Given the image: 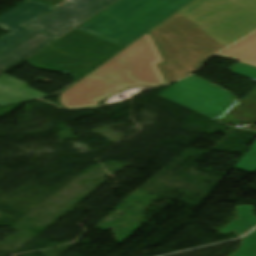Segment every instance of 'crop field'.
Returning a JSON list of instances; mask_svg holds the SVG:
<instances>
[{"mask_svg":"<svg viewBox=\"0 0 256 256\" xmlns=\"http://www.w3.org/2000/svg\"><path fill=\"white\" fill-rule=\"evenodd\" d=\"M254 30L256 10L231 0H194L150 32L166 62L158 67L170 83Z\"/></svg>","mask_w":256,"mask_h":256,"instance_id":"1","label":"crop field"},{"mask_svg":"<svg viewBox=\"0 0 256 256\" xmlns=\"http://www.w3.org/2000/svg\"><path fill=\"white\" fill-rule=\"evenodd\" d=\"M54 8L38 0H26L0 15V28L10 32L0 38V53L35 32L26 24Z\"/></svg>","mask_w":256,"mask_h":256,"instance_id":"7","label":"crop field"},{"mask_svg":"<svg viewBox=\"0 0 256 256\" xmlns=\"http://www.w3.org/2000/svg\"><path fill=\"white\" fill-rule=\"evenodd\" d=\"M237 216V219L219 232L226 234L235 231L239 237L256 225V217L253 215L252 205L237 206Z\"/></svg>","mask_w":256,"mask_h":256,"instance_id":"9","label":"crop field"},{"mask_svg":"<svg viewBox=\"0 0 256 256\" xmlns=\"http://www.w3.org/2000/svg\"><path fill=\"white\" fill-rule=\"evenodd\" d=\"M123 48L74 30L26 61L37 69L69 72L76 81Z\"/></svg>","mask_w":256,"mask_h":256,"instance_id":"5","label":"crop field"},{"mask_svg":"<svg viewBox=\"0 0 256 256\" xmlns=\"http://www.w3.org/2000/svg\"><path fill=\"white\" fill-rule=\"evenodd\" d=\"M159 96L217 120L238 103L229 91L195 75L177 82Z\"/></svg>","mask_w":256,"mask_h":256,"instance_id":"6","label":"crop field"},{"mask_svg":"<svg viewBox=\"0 0 256 256\" xmlns=\"http://www.w3.org/2000/svg\"><path fill=\"white\" fill-rule=\"evenodd\" d=\"M233 256V255H232Z\"/></svg>","mask_w":256,"mask_h":256,"instance_id":"14","label":"crop field"},{"mask_svg":"<svg viewBox=\"0 0 256 256\" xmlns=\"http://www.w3.org/2000/svg\"><path fill=\"white\" fill-rule=\"evenodd\" d=\"M229 69L237 76L256 80V67L239 63Z\"/></svg>","mask_w":256,"mask_h":256,"instance_id":"12","label":"crop field"},{"mask_svg":"<svg viewBox=\"0 0 256 256\" xmlns=\"http://www.w3.org/2000/svg\"><path fill=\"white\" fill-rule=\"evenodd\" d=\"M114 1L116 0H67L64 5L27 24L38 31L0 54V74Z\"/></svg>","mask_w":256,"mask_h":256,"instance_id":"4","label":"crop field"},{"mask_svg":"<svg viewBox=\"0 0 256 256\" xmlns=\"http://www.w3.org/2000/svg\"><path fill=\"white\" fill-rule=\"evenodd\" d=\"M238 3H241L243 5H246L248 7H251L253 9H256V0H233Z\"/></svg>","mask_w":256,"mask_h":256,"instance_id":"13","label":"crop field"},{"mask_svg":"<svg viewBox=\"0 0 256 256\" xmlns=\"http://www.w3.org/2000/svg\"><path fill=\"white\" fill-rule=\"evenodd\" d=\"M235 256H256V230L241 239V246Z\"/></svg>","mask_w":256,"mask_h":256,"instance_id":"10","label":"crop field"},{"mask_svg":"<svg viewBox=\"0 0 256 256\" xmlns=\"http://www.w3.org/2000/svg\"><path fill=\"white\" fill-rule=\"evenodd\" d=\"M234 168L249 172L256 170V141Z\"/></svg>","mask_w":256,"mask_h":256,"instance_id":"11","label":"crop field"},{"mask_svg":"<svg viewBox=\"0 0 256 256\" xmlns=\"http://www.w3.org/2000/svg\"><path fill=\"white\" fill-rule=\"evenodd\" d=\"M192 0H120L76 30L128 46Z\"/></svg>","mask_w":256,"mask_h":256,"instance_id":"3","label":"crop field"},{"mask_svg":"<svg viewBox=\"0 0 256 256\" xmlns=\"http://www.w3.org/2000/svg\"><path fill=\"white\" fill-rule=\"evenodd\" d=\"M42 96L46 95L27 87V84L15 78L6 75L0 77V106L2 107L32 101Z\"/></svg>","mask_w":256,"mask_h":256,"instance_id":"8","label":"crop field"},{"mask_svg":"<svg viewBox=\"0 0 256 256\" xmlns=\"http://www.w3.org/2000/svg\"><path fill=\"white\" fill-rule=\"evenodd\" d=\"M164 63L150 33H147L61 93L67 109L98 106V101L126 87L164 84L156 64Z\"/></svg>","mask_w":256,"mask_h":256,"instance_id":"2","label":"crop field"}]
</instances>
